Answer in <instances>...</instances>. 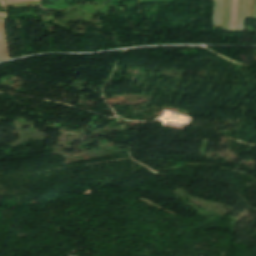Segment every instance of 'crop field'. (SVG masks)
I'll return each instance as SVG.
<instances>
[{
  "label": "crop field",
  "mask_w": 256,
  "mask_h": 256,
  "mask_svg": "<svg viewBox=\"0 0 256 256\" xmlns=\"http://www.w3.org/2000/svg\"><path fill=\"white\" fill-rule=\"evenodd\" d=\"M237 9H238V0H231L229 31L236 30Z\"/></svg>",
  "instance_id": "crop-field-4"
},
{
  "label": "crop field",
  "mask_w": 256,
  "mask_h": 256,
  "mask_svg": "<svg viewBox=\"0 0 256 256\" xmlns=\"http://www.w3.org/2000/svg\"><path fill=\"white\" fill-rule=\"evenodd\" d=\"M6 3H17V2H27L32 0H5ZM33 1H39V0H33Z\"/></svg>",
  "instance_id": "crop-field-6"
},
{
  "label": "crop field",
  "mask_w": 256,
  "mask_h": 256,
  "mask_svg": "<svg viewBox=\"0 0 256 256\" xmlns=\"http://www.w3.org/2000/svg\"><path fill=\"white\" fill-rule=\"evenodd\" d=\"M9 59L5 38V20L0 19V60Z\"/></svg>",
  "instance_id": "crop-field-1"
},
{
  "label": "crop field",
  "mask_w": 256,
  "mask_h": 256,
  "mask_svg": "<svg viewBox=\"0 0 256 256\" xmlns=\"http://www.w3.org/2000/svg\"><path fill=\"white\" fill-rule=\"evenodd\" d=\"M229 11H230V0H227L226 28H228V23H229Z\"/></svg>",
  "instance_id": "crop-field-5"
},
{
  "label": "crop field",
  "mask_w": 256,
  "mask_h": 256,
  "mask_svg": "<svg viewBox=\"0 0 256 256\" xmlns=\"http://www.w3.org/2000/svg\"><path fill=\"white\" fill-rule=\"evenodd\" d=\"M223 0H213V25H221Z\"/></svg>",
  "instance_id": "crop-field-2"
},
{
  "label": "crop field",
  "mask_w": 256,
  "mask_h": 256,
  "mask_svg": "<svg viewBox=\"0 0 256 256\" xmlns=\"http://www.w3.org/2000/svg\"><path fill=\"white\" fill-rule=\"evenodd\" d=\"M250 7H251V0H248V8H247V15H246V18H249V15H250Z\"/></svg>",
  "instance_id": "crop-field-7"
},
{
  "label": "crop field",
  "mask_w": 256,
  "mask_h": 256,
  "mask_svg": "<svg viewBox=\"0 0 256 256\" xmlns=\"http://www.w3.org/2000/svg\"><path fill=\"white\" fill-rule=\"evenodd\" d=\"M8 13H0V17L6 18Z\"/></svg>",
  "instance_id": "crop-field-8"
},
{
  "label": "crop field",
  "mask_w": 256,
  "mask_h": 256,
  "mask_svg": "<svg viewBox=\"0 0 256 256\" xmlns=\"http://www.w3.org/2000/svg\"><path fill=\"white\" fill-rule=\"evenodd\" d=\"M0 2H1V5H2V6H4V5H5L4 0H0Z\"/></svg>",
  "instance_id": "crop-field-9"
},
{
  "label": "crop field",
  "mask_w": 256,
  "mask_h": 256,
  "mask_svg": "<svg viewBox=\"0 0 256 256\" xmlns=\"http://www.w3.org/2000/svg\"><path fill=\"white\" fill-rule=\"evenodd\" d=\"M246 8H247V0H240L239 1L238 24H237L236 31L244 32Z\"/></svg>",
  "instance_id": "crop-field-3"
}]
</instances>
